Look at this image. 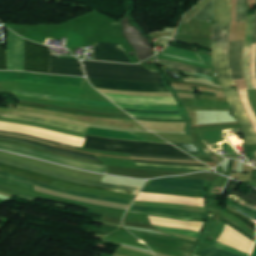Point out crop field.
<instances>
[{
    "label": "crop field",
    "instance_id": "crop-field-1",
    "mask_svg": "<svg viewBox=\"0 0 256 256\" xmlns=\"http://www.w3.org/2000/svg\"><path fill=\"white\" fill-rule=\"evenodd\" d=\"M2 124H8V125H14V126H21V127H27V128H33L38 129L62 136L82 139L62 133L52 132L32 126H26V125H18V124H10V123H3ZM0 124V130H7V131H15V132H21L65 144L75 145L82 147L83 141L62 137L38 130H32V129H26V128H20V127H14V126H8V125H2ZM85 148H91L99 151H107V152H120V153H137V154H153V155H169V156H186V157H192L188 155L187 153L183 152L182 150L176 148L175 146L171 144H155V143H149V142H140V141H129V140H117V139H108V138H100V137H94V136H88L85 137L84 146Z\"/></svg>",
    "mask_w": 256,
    "mask_h": 256
},
{
    "label": "crop field",
    "instance_id": "crop-field-2",
    "mask_svg": "<svg viewBox=\"0 0 256 256\" xmlns=\"http://www.w3.org/2000/svg\"><path fill=\"white\" fill-rule=\"evenodd\" d=\"M210 0H203L191 10L182 20L186 24L193 16L200 12ZM214 26L212 36V55L214 67L224 91L233 89L235 86L231 76L228 62L229 33H230V0H214Z\"/></svg>",
    "mask_w": 256,
    "mask_h": 256
},
{
    "label": "crop field",
    "instance_id": "crop-field-3",
    "mask_svg": "<svg viewBox=\"0 0 256 256\" xmlns=\"http://www.w3.org/2000/svg\"><path fill=\"white\" fill-rule=\"evenodd\" d=\"M58 56H52L49 47L32 43L25 39L24 46V67L25 70L45 72L54 74H66L84 76L79 61L57 59Z\"/></svg>",
    "mask_w": 256,
    "mask_h": 256
},
{
    "label": "crop field",
    "instance_id": "crop-field-4",
    "mask_svg": "<svg viewBox=\"0 0 256 256\" xmlns=\"http://www.w3.org/2000/svg\"><path fill=\"white\" fill-rule=\"evenodd\" d=\"M88 77L127 81L163 82L157 73H151L141 65H126L95 61L82 62Z\"/></svg>",
    "mask_w": 256,
    "mask_h": 256
},
{
    "label": "crop field",
    "instance_id": "crop-field-5",
    "mask_svg": "<svg viewBox=\"0 0 256 256\" xmlns=\"http://www.w3.org/2000/svg\"><path fill=\"white\" fill-rule=\"evenodd\" d=\"M0 144H5V145H0V148H2V149H6V150L13 151V152H16V153H20V154L40 158V159H45V160H49V161H53V162L73 166V167H78V168L91 170V171L102 172V173H104L105 169H106L105 165H101V164L68 159V158H64V157L51 155V154L43 153V152H40V151H36V150L16 146V145L9 144V143L0 142Z\"/></svg>",
    "mask_w": 256,
    "mask_h": 256
},
{
    "label": "crop field",
    "instance_id": "crop-field-6",
    "mask_svg": "<svg viewBox=\"0 0 256 256\" xmlns=\"http://www.w3.org/2000/svg\"><path fill=\"white\" fill-rule=\"evenodd\" d=\"M2 81H22L81 87L82 78L32 74L23 72H0Z\"/></svg>",
    "mask_w": 256,
    "mask_h": 256
},
{
    "label": "crop field",
    "instance_id": "crop-field-7",
    "mask_svg": "<svg viewBox=\"0 0 256 256\" xmlns=\"http://www.w3.org/2000/svg\"><path fill=\"white\" fill-rule=\"evenodd\" d=\"M88 79L95 88L100 89L120 91L169 92L164 83H138L93 78Z\"/></svg>",
    "mask_w": 256,
    "mask_h": 256
},
{
    "label": "crop field",
    "instance_id": "crop-field-8",
    "mask_svg": "<svg viewBox=\"0 0 256 256\" xmlns=\"http://www.w3.org/2000/svg\"><path fill=\"white\" fill-rule=\"evenodd\" d=\"M225 97L229 102L234 116L238 119L245 136V145L256 144V133L254 132L250 121L248 120L243 109L241 99L237 91L225 92Z\"/></svg>",
    "mask_w": 256,
    "mask_h": 256
},
{
    "label": "crop field",
    "instance_id": "crop-field-9",
    "mask_svg": "<svg viewBox=\"0 0 256 256\" xmlns=\"http://www.w3.org/2000/svg\"><path fill=\"white\" fill-rule=\"evenodd\" d=\"M0 163L15 166V167H19V168H23V169H26V170H30V171H34V172H38V173H42V174H46V175L53 176V177L63 179V180H66V181L77 182V183H82V184H87V185H93V186H99V187H105V188H111V189L135 191V192H139V190L141 189L139 187L105 184V183H99V182L84 180V179H80V178L70 177V176L45 171V170H42V169H38V168H35V167L23 165V164H20V163H16V162L4 160V159H0Z\"/></svg>",
    "mask_w": 256,
    "mask_h": 256
},
{
    "label": "crop field",
    "instance_id": "crop-field-10",
    "mask_svg": "<svg viewBox=\"0 0 256 256\" xmlns=\"http://www.w3.org/2000/svg\"><path fill=\"white\" fill-rule=\"evenodd\" d=\"M23 46L24 39L9 30L7 45L8 70H24Z\"/></svg>",
    "mask_w": 256,
    "mask_h": 256
},
{
    "label": "crop field",
    "instance_id": "crop-field-11",
    "mask_svg": "<svg viewBox=\"0 0 256 256\" xmlns=\"http://www.w3.org/2000/svg\"><path fill=\"white\" fill-rule=\"evenodd\" d=\"M94 60L130 63L120 44L97 43L94 49Z\"/></svg>",
    "mask_w": 256,
    "mask_h": 256
},
{
    "label": "crop field",
    "instance_id": "crop-field-12",
    "mask_svg": "<svg viewBox=\"0 0 256 256\" xmlns=\"http://www.w3.org/2000/svg\"><path fill=\"white\" fill-rule=\"evenodd\" d=\"M148 187L192 190L203 192V181L192 179L161 178L154 180Z\"/></svg>",
    "mask_w": 256,
    "mask_h": 256
},
{
    "label": "crop field",
    "instance_id": "crop-field-13",
    "mask_svg": "<svg viewBox=\"0 0 256 256\" xmlns=\"http://www.w3.org/2000/svg\"><path fill=\"white\" fill-rule=\"evenodd\" d=\"M0 176L16 179V180L26 182V183H29V184H32V185L42 186V187H45V188H48V189L56 190V191H59V192L70 194V195L93 198V199H99V200H105V201H111V202H117V203L128 204V205H131V203H132L131 200L116 199V198H111V197H106V196H101V195H95V194L65 190V189L53 187V186H50V185H46V184H43V183H39V182H36V181H32V180H29V179H25V178H22V177L14 176V175L3 173V172H0Z\"/></svg>",
    "mask_w": 256,
    "mask_h": 256
},
{
    "label": "crop field",
    "instance_id": "crop-field-14",
    "mask_svg": "<svg viewBox=\"0 0 256 256\" xmlns=\"http://www.w3.org/2000/svg\"><path fill=\"white\" fill-rule=\"evenodd\" d=\"M136 200L141 201H152V202H164V203H174L192 206L204 207V199L183 197V196H171V195H155V194H144L140 193Z\"/></svg>",
    "mask_w": 256,
    "mask_h": 256
},
{
    "label": "crop field",
    "instance_id": "crop-field-15",
    "mask_svg": "<svg viewBox=\"0 0 256 256\" xmlns=\"http://www.w3.org/2000/svg\"><path fill=\"white\" fill-rule=\"evenodd\" d=\"M218 242L230 245L249 254L251 253L254 244V242L227 225Z\"/></svg>",
    "mask_w": 256,
    "mask_h": 256
},
{
    "label": "crop field",
    "instance_id": "crop-field-16",
    "mask_svg": "<svg viewBox=\"0 0 256 256\" xmlns=\"http://www.w3.org/2000/svg\"><path fill=\"white\" fill-rule=\"evenodd\" d=\"M243 40L230 42L229 61L234 80L244 79L241 70V51Z\"/></svg>",
    "mask_w": 256,
    "mask_h": 256
},
{
    "label": "crop field",
    "instance_id": "crop-field-17",
    "mask_svg": "<svg viewBox=\"0 0 256 256\" xmlns=\"http://www.w3.org/2000/svg\"><path fill=\"white\" fill-rule=\"evenodd\" d=\"M153 225L164 226V227H172V228H182V229H190L194 231H200L203 222H184L173 219L159 218L149 216Z\"/></svg>",
    "mask_w": 256,
    "mask_h": 256
},
{
    "label": "crop field",
    "instance_id": "crop-field-18",
    "mask_svg": "<svg viewBox=\"0 0 256 256\" xmlns=\"http://www.w3.org/2000/svg\"><path fill=\"white\" fill-rule=\"evenodd\" d=\"M14 94L41 97V98L54 99V100H60V101H66V102H72V103H78V104H84V105H92V106H113V107L116 106V105L114 106L112 103H107V102L90 101V100H83V99H76V98L58 97V96L23 92V91H17V90H14Z\"/></svg>",
    "mask_w": 256,
    "mask_h": 256
},
{
    "label": "crop field",
    "instance_id": "crop-field-19",
    "mask_svg": "<svg viewBox=\"0 0 256 256\" xmlns=\"http://www.w3.org/2000/svg\"><path fill=\"white\" fill-rule=\"evenodd\" d=\"M253 20H254V16L248 15L247 29H246V44H245V47H248V48H250L251 46ZM249 59H250V49L245 48L244 49V70H245V75L247 77L248 86L249 88H252V82H251L250 72H249Z\"/></svg>",
    "mask_w": 256,
    "mask_h": 256
},
{
    "label": "crop field",
    "instance_id": "crop-field-20",
    "mask_svg": "<svg viewBox=\"0 0 256 256\" xmlns=\"http://www.w3.org/2000/svg\"><path fill=\"white\" fill-rule=\"evenodd\" d=\"M130 210L142 211V212H153V213H164V214H171V215L191 217V218H205L204 213H193V212H187V211L168 210V209H159V208H150V207L131 206Z\"/></svg>",
    "mask_w": 256,
    "mask_h": 256
},
{
    "label": "crop field",
    "instance_id": "crop-field-21",
    "mask_svg": "<svg viewBox=\"0 0 256 256\" xmlns=\"http://www.w3.org/2000/svg\"><path fill=\"white\" fill-rule=\"evenodd\" d=\"M87 134L105 136V137H111V138H118V139L142 140L130 133H127V132L95 129V128H90V127L88 128Z\"/></svg>",
    "mask_w": 256,
    "mask_h": 256
},
{
    "label": "crop field",
    "instance_id": "crop-field-22",
    "mask_svg": "<svg viewBox=\"0 0 256 256\" xmlns=\"http://www.w3.org/2000/svg\"><path fill=\"white\" fill-rule=\"evenodd\" d=\"M4 117H10V118L28 120V121H35V122H40V123H44V124L60 126V127L84 132V133L86 132V129H87V128H83V127H77V126H73V125H68V124H64V123H59V122H54V121H49V120H44V119H39V118H34V117L11 115V114H6V115H4Z\"/></svg>",
    "mask_w": 256,
    "mask_h": 256
},
{
    "label": "crop field",
    "instance_id": "crop-field-23",
    "mask_svg": "<svg viewBox=\"0 0 256 256\" xmlns=\"http://www.w3.org/2000/svg\"><path fill=\"white\" fill-rule=\"evenodd\" d=\"M160 61L164 62V63H169V64H165V65L168 66L171 69H177V70L189 71V72H196V73H201L203 75L211 76L210 71L206 70V69H202V68H198V67L178 63V62L164 61V60H160Z\"/></svg>",
    "mask_w": 256,
    "mask_h": 256
},
{
    "label": "crop field",
    "instance_id": "crop-field-24",
    "mask_svg": "<svg viewBox=\"0 0 256 256\" xmlns=\"http://www.w3.org/2000/svg\"><path fill=\"white\" fill-rule=\"evenodd\" d=\"M162 52L180 56V57H184V58H188V59H192V60H196V61H201V59L197 56L196 53L188 51V50L180 49L177 47H173L170 45H168V47L165 50H163Z\"/></svg>",
    "mask_w": 256,
    "mask_h": 256
},
{
    "label": "crop field",
    "instance_id": "crop-field-25",
    "mask_svg": "<svg viewBox=\"0 0 256 256\" xmlns=\"http://www.w3.org/2000/svg\"><path fill=\"white\" fill-rule=\"evenodd\" d=\"M116 104L121 108H134V109L158 110V111L178 110L177 106L133 105V104H121V103H116Z\"/></svg>",
    "mask_w": 256,
    "mask_h": 256
},
{
    "label": "crop field",
    "instance_id": "crop-field-26",
    "mask_svg": "<svg viewBox=\"0 0 256 256\" xmlns=\"http://www.w3.org/2000/svg\"><path fill=\"white\" fill-rule=\"evenodd\" d=\"M238 93L244 103L246 113L252 122L253 128L256 131V115L248 101V92L247 90H238Z\"/></svg>",
    "mask_w": 256,
    "mask_h": 256
},
{
    "label": "crop field",
    "instance_id": "crop-field-27",
    "mask_svg": "<svg viewBox=\"0 0 256 256\" xmlns=\"http://www.w3.org/2000/svg\"><path fill=\"white\" fill-rule=\"evenodd\" d=\"M0 166H4V167L16 169V170H20V171H24V172H28V173H32V174H35V175H39V176H42V177H46V178H49V179H53V180H56V181H60V182L71 184V185H75V186H81V187H87V188H93V189H99V190H108V191H114V192H123V193L137 194V193H134V192L118 191V190H111V189H105V188L86 186V185H82V184L70 183V182L59 180V179H56V178H53V177H49V176H46V175H42V174H38V173H34V172H30V171H26V170H22V169H18V168L6 166V165H3V164H0Z\"/></svg>",
    "mask_w": 256,
    "mask_h": 256
},
{
    "label": "crop field",
    "instance_id": "crop-field-28",
    "mask_svg": "<svg viewBox=\"0 0 256 256\" xmlns=\"http://www.w3.org/2000/svg\"><path fill=\"white\" fill-rule=\"evenodd\" d=\"M236 185H237V182H234V181H232V180L229 181V183L226 185V188H227V189H230L229 193H232V194H234V195H237V196L243 198L244 200H246V201H248V202H250V203L256 205V191L251 190V191L248 193V195L245 197V196H243V195H240V194H238V193L233 192L234 189H235V187H236Z\"/></svg>",
    "mask_w": 256,
    "mask_h": 256
},
{
    "label": "crop field",
    "instance_id": "crop-field-29",
    "mask_svg": "<svg viewBox=\"0 0 256 256\" xmlns=\"http://www.w3.org/2000/svg\"><path fill=\"white\" fill-rule=\"evenodd\" d=\"M200 256H240L233 253L225 252L215 247H207L200 251Z\"/></svg>",
    "mask_w": 256,
    "mask_h": 256
},
{
    "label": "crop field",
    "instance_id": "crop-field-30",
    "mask_svg": "<svg viewBox=\"0 0 256 256\" xmlns=\"http://www.w3.org/2000/svg\"><path fill=\"white\" fill-rule=\"evenodd\" d=\"M213 9H214V3H213V0H211L209 4L194 18L210 23V19L213 15Z\"/></svg>",
    "mask_w": 256,
    "mask_h": 256
},
{
    "label": "crop field",
    "instance_id": "crop-field-31",
    "mask_svg": "<svg viewBox=\"0 0 256 256\" xmlns=\"http://www.w3.org/2000/svg\"><path fill=\"white\" fill-rule=\"evenodd\" d=\"M0 171L14 173V174H17V175H20V176H23V177H26V178H29V179L37 180V181H40V182H43V183H47V184H50V185H52L54 183V181H51V180H48V179H44V178H41V177H38V176H35V175L27 174V173H24V172L8 169V168H4V167H0Z\"/></svg>",
    "mask_w": 256,
    "mask_h": 256
},
{
    "label": "crop field",
    "instance_id": "crop-field-32",
    "mask_svg": "<svg viewBox=\"0 0 256 256\" xmlns=\"http://www.w3.org/2000/svg\"><path fill=\"white\" fill-rule=\"evenodd\" d=\"M246 0H237L236 22H246Z\"/></svg>",
    "mask_w": 256,
    "mask_h": 256
},
{
    "label": "crop field",
    "instance_id": "crop-field-33",
    "mask_svg": "<svg viewBox=\"0 0 256 256\" xmlns=\"http://www.w3.org/2000/svg\"><path fill=\"white\" fill-rule=\"evenodd\" d=\"M250 69H251V75L253 80V86L254 88H256V45L255 44H252Z\"/></svg>",
    "mask_w": 256,
    "mask_h": 256
},
{
    "label": "crop field",
    "instance_id": "crop-field-34",
    "mask_svg": "<svg viewBox=\"0 0 256 256\" xmlns=\"http://www.w3.org/2000/svg\"><path fill=\"white\" fill-rule=\"evenodd\" d=\"M157 228H159L161 230L168 231V232L187 235V236H191V237H195V238H198V236L200 235V233L190 231V230L172 229V228H164V227H157Z\"/></svg>",
    "mask_w": 256,
    "mask_h": 256
},
{
    "label": "crop field",
    "instance_id": "crop-field-35",
    "mask_svg": "<svg viewBox=\"0 0 256 256\" xmlns=\"http://www.w3.org/2000/svg\"><path fill=\"white\" fill-rule=\"evenodd\" d=\"M223 222L228 224L229 226H231L232 228H234L235 230H237L238 232H240L241 234L245 235L246 237H248L249 239H251L252 241L255 240V237H253L251 234H249L248 232H246L244 229H242L241 227H239L238 225H236L235 223L229 221L228 219L222 217Z\"/></svg>",
    "mask_w": 256,
    "mask_h": 256
},
{
    "label": "crop field",
    "instance_id": "crop-field-36",
    "mask_svg": "<svg viewBox=\"0 0 256 256\" xmlns=\"http://www.w3.org/2000/svg\"><path fill=\"white\" fill-rule=\"evenodd\" d=\"M0 139H3V138H0ZM4 140L16 141V140H12V139H4ZM17 142H21V141H17ZM21 143L28 144V145H31V146H35V147H38V148H41V149L49 150V151H54V152H58V153L67 154V155H72V156H77V157H83V158H89V159L99 160V159H97V158H91V157H87V156H83V155H78V154H73V153H68V152L53 150V149H49V148H46V147H42V146H38V145L26 143V142H21ZM99 161H100V160H99Z\"/></svg>",
    "mask_w": 256,
    "mask_h": 256
},
{
    "label": "crop field",
    "instance_id": "crop-field-37",
    "mask_svg": "<svg viewBox=\"0 0 256 256\" xmlns=\"http://www.w3.org/2000/svg\"><path fill=\"white\" fill-rule=\"evenodd\" d=\"M0 69L7 70V57L5 44H0Z\"/></svg>",
    "mask_w": 256,
    "mask_h": 256
},
{
    "label": "crop field",
    "instance_id": "crop-field-38",
    "mask_svg": "<svg viewBox=\"0 0 256 256\" xmlns=\"http://www.w3.org/2000/svg\"><path fill=\"white\" fill-rule=\"evenodd\" d=\"M215 247L220 248V249L225 250V251H229V252H233V253H236V254H240V255H243V256H249V254H247V253H244V252H242L240 250H237L235 248H232L230 246H227V245H224V244H221V243H218V242L215 244Z\"/></svg>",
    "mask_w": 256,
    "mask_h": 256
},
{
    "label": "crop field",
    "instance_id": "crop-field-39",
    "mask_svg": "<svg viewBox=\"0 0 256 256\" xmlns=\"http://www.w3.org/2000/svg\"><path fill=\"white\" fill-rule=\"evenodd\" d=\"M0 141H4V140H0ZM4 142L14 143V144H18V145H21V146H25V147L37 149V148L30 147V146H27V145H24V144H20V143H16V142H11V141H4ZM37 150L44 151V152L51 153V154L61 155V156L69 157V158H74V159H78V160H84V161H91V162H96V163H102V162H99V161H94V160H89V159H83V158H77V157H71V156L62 155V154H57V153H53V152H49V151H45V150H41V149H37Z\"/></svg>",
    "mask_w": 256,
    "mask_h": 256
},
{
    "label": "crop field",
    "instance_id": "crop-field-40",
    "mask_svg": "<svg viewBox=\"0 0 256 256\" xmlns=\"http://www.w3.org/2000/svg\"><path fill=\"white\" fill-rule=\"evenodd\" d=\"M226 211L231 213L232 215L236 216L237 218H239L240 220H242L244 223H246L248 226H250L252 229L255 230L256 224L252 223L251 221H249L248 219L244 218L243 216H241L240 214H238L237 212H235L231 209L227 208Z\"/></svg>",
    "mask_w": 256,
    "mask_h": 256
},
{
    "label": "crop field",
    "instance_id": "crop-field-41",
    "mask_svg": "<svg viewBox=\"0 0 256 256\" xmlns=\"http://www.w3.org/2000/svg\"><path fill=\"white\" fill-rule=\"evenodd\" d=\"M0 181H4V182L10 183V184H14V185H18V186H22V187H26V188L34 190V186H32V185L25 184V183H22V182L11 180V179H7V178H4V177H0Z\"/></svg>",
    "mask_w": 256,
    "mask_h": 256
},
{
    "label": "crop field",
    "instance_id": "crop-field-42",
    "mask_svg": "<svg viewBox=\"0 0 256 256\" xmlns=\"http://www.w3.org/2000/svg\"><path fill=\"white\" fill-rule=\"evenodd\" d=\"M137 165L186 168V169H196V170H212L210 168H194V167H181V166H168V165L141 164V163H137Z\"/></svg>",
    "mask_w": 256,
    "mask_h": 256
},
{
    "label": "crop field",
    "instance_id": "crop-field-43",
    "mask_svg": "<svg viewBox=\"0 0 256 256\" xmlns=\"http://www.w3.org/2000/svg\"><path fill=\"white\" fill-rule=\"evenodd\" d=\"M0 132H2V133H8V134H14V135L27 136V137H31V138L40 139V138H37V137H33V136H29V135H24V134H20V133L7 132V131H0ZM40 140H44V139H40ZM44 141H48V140H44ZM48 142H51V143H54V144H58V145H62V146H66V147H72V148H78V149H80L79 147H75V146L65 145V144L56 143V142H52V141H48Z\"/></svg>",
    "mask_w": 256,
    "mask_h": 256
},
{
    "label": "crop field",
    "instance_id": "crop-field-44",
    "mask_svg": "<svg viewBox=\"0 0 256 256\" xmlns=\"http://www.w3.org/2000/svg\"><path fill=\"white\" fill-rule=\"evenodd\" d=\"M134 162H147V163H161V164H175V165H189V166H203V167H207L205 165L187 164V163L148 162V161H138V160H134Z\"/></svg>",
    "mask_w": 256,
    "mask_h": 256
},
{
    "label": "crop field",
    "instance_id": "crop-field-45",
    "mask_svg": "<svg viewBox=\"0 0 256 256\" xmlns=\"http://www.w3.org/2000/svg\"><path fill=\"white\" fill-rule=\"evenodd\" d=\"M128 113L133 115H150V116H181L180 114H149V113H132V112H128Z\"/></svg>",
    "mask_w": 256,
    "mask_h": 256
},
{
    "label": "crop field",
    "instance_id": "crop-field-46",
    "mask_svg": "<svg viewBox=\"0 0 256 256\" xmlns=\"http://www.w3.org/2000/svg\"><path fill=\"white\" fill-rule=\"evenodd\" d=\"M1 137H8V136H1ZM8 138L20 139V140H24V141H27V142L35 143V144H38V145L50 147V146H48V145L40 144V143H37V142H33V141L21 139V138H15V137H8ZM50 148H54V147H50ZM54 149H58V148H54ZM58 150H63V149H58ZM63 151H67V150H63ZM68 152H71V151H68ZM73 153H76V152H73ZM78 154H81V153H78ZM83 155H87V154H83ZM88 156H92V155H88ZM92 157H94V156H92Z\"/></svg>",
    "mask_w": 256,
    "mask_h": 256
},
{
    "label": "crop field",
    "instance_id": "crop-field-47",
    "mask_svg": "<svg viewBox=\"0 0 256 256\" xmlns=\"http://www.w3.org/2000/svg\"><path fill=\"white\" fill-rule=\"evenodd\" d=\"M227 202L230 203V204H232V205L238 206V207H240V208H242V209L248 211L249 213L253 214L254 216H256V211H254V210H250V209H248V208H246V207H244V206H242V205H240V204H238V203H235V202H233V201H230V200H228V199H227Z\"/></svg>",
    "mask_w": 256,
    "mask_h": 256
},
{
    "label": "crop field",
    "instance_id": "crop-field-48",
    "mask_svg": "<svg viewBox=\"0 0 256 256\" xmlns=\"http://www.w3.org/2000/svg\"><path fill=\"white\" fill-rule=\"evenodd\" d=\"M131 116H133V115H131ZM133 117L153 118V119H182L181 117H150V116H133Z\"/></svg>",
    "mask_w": 256,
    "mask_h": 256
},
{
    "label": "crop field",
    "instance_id": "crop-field-49",
    "mask_svg": "<svg viewBox=\"0 0 256 256\" xmlns=\"http://www.w3.org/2000/svg\"><path fill=\"white\" fill-rule=\"evenodd\" d=\"M140 168H145V169H161V170H178V171L194 172V170H180V169H168V168L145 167V166H140Z\"/></svg>",
    "mask_w": 256,
    "mask_h": 256
},
{
    "label": "crop field",
    "instance_id": "crop-field-50",
    "mask_svg": "<svg viewBox=\"0 0 256 256\" xmlns=\"http://www.w3.org/2000/svg\"><path fill=\"white\" fill-rule=\"evenodd\" d=\"M204 62L213 64L212 57L198 54Z\"/></svg>",
    "mask_w": 256,
    "mask_h": 256
},
{
    "label": "crop field",
    "instance_id": "crop-field-51",
    "mask_svg": "<svg viewBox=\"0 0 256 256\" xmlns=\"http://www.w3.org/2000/svg\"><path fill=\"white\" fill-rule=\"evenodd\" d=\"M125 111H132V112H150V113H179V111L175 112H158V111H137V110H131V109H124Z\"/></svg>",
    "mask_w": 256,
    "mask_h": 256
},
{
    "label": "crop field",
    "instance_id": "crop-field-52",
    "mask_svg": "<svg viewBox=\"0 0 256 256\" xmlns=\"http://www.w3.org/2000/svg\"><path fill=\"white\" fill-rule=\"evenodd\" d=\"M130 156H137V155H130ZM137 157L168 158V157H152V156H137ZM169 159H189V160H196V159H194V158H169Z\"/></svg>",
    "mask_w": 256,
    "mask_h": 256
},
{
    "label": "crop field",
    "instance_id": "crop-field-53",
    "mask_svg": "<svg viewBox=\"0 0 256 256\" xmlns=\"http://www.w3.org/2000/svg\"><path fill=\"white\" fill-rule=\"evenodd\" d=\"M252 43L256 44V17H255V23H254V29H253Z\"/></svg>",
    "mask_w": 256,
    "mask_h": 256
},
{
    "label": "crop field",
    "instance_id": "crop-field-54",
    "mask_svg": "<svg viewBox=\"0 0 256 256\" xmlns=\"http://www.w3.org/2000/svg\"><path fill=\"white\" fill-rule=\"evenodd\" d=\"M251 256H256V244H255V247H254V250H253V253Z\"/></svg>",
    "mask_w": 256,
    "mask_h": 256
}]
</instances>
